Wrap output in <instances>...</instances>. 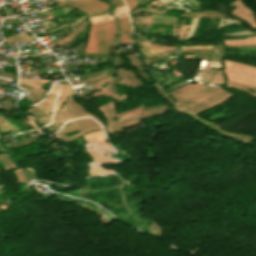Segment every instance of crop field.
Returning a JSON list of instances; mask_svg holds the SVG:
<instances>
[{
    "label": "crop field",
    "mask_w": 256,
    "mask_h": 256,
    "mask_svg": "<svg viewBox=\"0 0 256 256\" xmlns=\"http://www.w3.org/2000/svg\"><path fill=\"white\" fill-rule=\"evenodd\" d=\"M113 34V20L91 25L85 53H108Z\"/></svg>",
    "instance_id": "obj_1"
},
{
    "label": "crop field",
    "mask_w": 256,
    "mask_h": 256,
    "mask_svg": "<svg viewBox=\"0 0 256 256\" xmlns=\"http://www.w3.org/2000/svg\"><path fill=\"white\" fill-rule=\"evenodd\" d=\"M119 21L122 30L121 44L131 42V27L128 16L120 18Z\"/></svg>",
    "instance_id": "obj_3"
},
{
    "label": "crop field",
    "mask_w": 256,
    "mask_h": 256,
    "mask_svg": "<svg viewBox=\"0 0 256 256\" xmlns=\"http://www.w3.org/2000/svg\"><path fill=\"white\" fill-rule=\"evenodd\" d=\"M57 4H58V7L60 6L78 7L81 5L88 4V5L79 7V9L85 11L86 13L109 8V6L106 3L99 0H74V1H68V2H57Z\"/></svg>",
    "instance_id": "obj_2"
},
{
    "label": "crop field",
    "mask_w": 256,
    "mask_h": 256,
    "mask_svg": "<svg viewBox=\"0 0 256 256\" xmlns=\"http://www.w3.org/2000/svg\"><path fill=\"white\" fill-rule=\"evenodd\" d=\"M129 10L134 9L137 7V2L135 0H124Z\"/></svg>",
    "instance_id": "obj_4"
}]
</instances>
